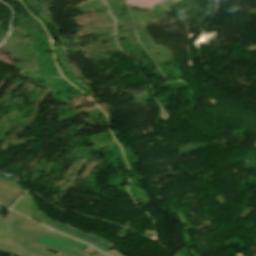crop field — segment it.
<instances>
[{"label":"crop field","instance_id":"crop-field-6","mask_svg":"<svg viewBox=\"0 0 256 256\" xmlns=\"http://www.w3.org/2000/svg\"><path fill=\"white\" fill-rule=\"evenodd\" d=\"M0 230L7 231V228L5 226L4 217H2V216H0Z\"/></svg>","mask_w":256,"mask_h":256},{"label":"crop field","instance_id":"crop-field-3","mask_svg":"<svg viewBox=\"0 0 256 256\" xmlns=\"http://www.w3.org/2000/svg\"><path fill=\"white\" fill-rule=\"evenodd\" d=\"M38 208L33 197L27 192L11 209L30 218Z\"/></svg>","mask_w":256,"mask_h":256},{"label":"crop field","instance_id":"crop-field-7","mask_svg":"<svg viewBox=\"0 0 256 256\" xmlns=\"http://www.w3.org/2000/svg\"><path fill=\"white\" fill-rule=\"evenodd\" d=\"M115 250V249H114ZM111 251L108 255H110V256H123V255H121L120 253H118V252H116V251Z\"/></svg>","mask_w":256,"mask_h":256},{"label":"crop field","instance_id":"crop-field-1","mask_svg":"<svg viewBox=\"0 0 256 256\" xmlns=\"http://www.w3.org/2000/svg\"><path fill=\"white\" fill-rule=\"evenodd\" d=\"M34 218H36L37 220L41 221L42 223H44L46 226H48L49 228L51 229H54L56 231H59L61 233H64L66 235H69L71 237H74L76 239H79L81 241H84L90 245H92L93 247L103 251V252H108L109 250L106 249L105 247H103L102 245L94 242L93 240L73 231V230H70L64 226H61L53 221H51L52 219L50 217H48L46 214H44L42 211L38 210L37 213L32 216Z\"/></svg>","mask_w":256,"mask_h":256},{"label":"crop field","instance_id":"crop-field-2","mask_svg":"<svg viewBox=\"0 0 256 256\" xmlns=\"http://www.w3.org/2000/svg\"><path fill=\"white\" fill-rule=\"evenodd\" d=\"M25 189L0 177V203L10 208Z\"/></svg>","mask_w":256,"mask_h":256},{"label":"crop field","instance_id":"crop-field-4","mask_svg":"<svg viewBox=\"0 0 256 256\" xmlns=\"http://www.w3.org/2000/svg\"><path fill=\"white\" fill-rule=\"evenodd\" d=\"M0 242L12 245V240L7 232L0 231Z\"/></svg>","mask_w":256,"mask_h":256},{"label":"crop field","instance_id":"crop-field-5","mask_svg":"<svg viewBox=\"0 0 256 256\" xmlns=\"http://www.w3.org/2000/svg\"><path fill=\"white\" fill-rule=\"evenodd\" d=\"M0 249L13 252V246L0 243Z\"/></svg>","mask_w":256,"mask_h":256}]
</instances>
